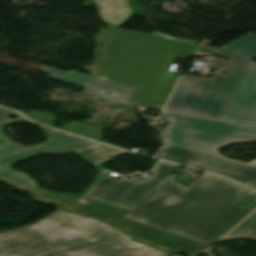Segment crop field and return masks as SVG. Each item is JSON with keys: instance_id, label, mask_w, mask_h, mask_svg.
<instances>
[{"instance_id": "1", "label": "crop field", "mask_w": 256, "mask_h": 256, "mask_svg": "<svg viewBox=\"0 0 256 256\" xmlns=\"http://www.w3.org/2000/svg\"><path fill=\"white\" fill-rule=\"evenodd\" d=\"M168 175L124 217L210 245L256 208V192L204 172L188 187Z\"/></svg>"}, {"instance_id": "2", "label": "crop field", "mask_w": 256, "mask_h": 256, "mask_svg": "<svg viewBox=\"0 0 256 256\" xmlns=\"http://www.w3.org/2000/svg\"><path fill=\"white\" fill-rule=\"evenodd\" d=\"M168 256L83 215L58 210L45 219L0 234V256Z\"/></svg>"}, {"instance_id": "3", "label": "crop field", "mask_w": 256, "mask_h": 256, "mask_svg": "<svg viewBox=\"0 0 256 256\" xmlns=\"http://www.w3.org/2000/svg\"><path fill=\"white\" fill-rule=\"evenodd\" d=\"M197 44L115 29L104 39L99 77L135 88L128 103L163 109L178 80L163 77L171 58L192 56Z\"/></svg>"}, {"instance_id": "4", "label": "crop field", "mask_w": 256, "mask_h": 256, "mask_svg": "<svg viewBox=\"0 0 256 256\" xmlns=\"http://www.w3.org/2000/svg\"><path fill=\"white\" fill-rule=\"evenodd\" d=\"M196 50L212 51L232 63L227 75L181 78L166 109L181 113L221 119L249 61L238 50L197 46Z\"/></svg>"}, {"instance_id": "5", "label": "crop field", "mask_w": 256, "mask_h": 256, "mask_svg": "<svg viewBox=\"0 0 256 256\" xmlns=\"http://www.w3.org/2000/svg\"><path fill=\"white\" fill-rule=\"evenodd\" d=\"M0 179L36 194V198L40 201H54L61 208L79 212L86 216L100 218L101 220L110 223L114 227L134 235L138 241L167 252L182 251L183 253L194 255L209 248L189 239L172 235L132 220L124 219L122 217L125 216L128 211L109 204L93 200L89 204L85 205L45 193L1 176Z\"/></svg>"}, {"instance_id": "6", "label": "crop field", "mask_w": 256, "mask_h": 256, "mask_svg": "<svg viewBox=\"0 0 256 256\" xmlns=\"http://www.w3.org/2000/svg\"><path fill=\"white\" fill-rule=\"evenodd\" d=\"M162 116L169 118L170 123V126H166L162 131L167 136L166 144L186 150L238 162L225 158L218 152V149L237 142H256V128L253 127L198 119L168 112H163ZM246 165L256 167V160Z\"/></svg>"}, {"instance_id": "7", "label": "crop field", "mask_w": 256, "mask_h": 256, "mask_svg": "<svg viewBox=\"0 0 256 256\" xmlns=\"http://www.w3.org/2000/svg\"><path fill=\"white\" fill-rule=\"evenodd\" d=\"M13 114L18 113L8 109L0 108V140L4 141L2 144H0V175L6 178L41 189L37 187L35 180L29 178V175L13 170L10 164L30 158L40 153L62 154L94 143L92 141L81 139L75 136L58 132L50 128L40 126L41 130L49 141L30 148L19 146L11 140L2 138V136H4V131L2 127L21 120H25V118L20 114H18L20 118L14 121L7 119V116ZM100 180L101 178L97 177V180L92 185H90L79 197L69 194L52 193L44 189L41 190L76 201Z\"/></svg>"}, {"instance_id": "8", "label": "crop field", "mask_w": 256, "mask_h": 256, "mask_svg": "<svg viewBox=\"0 0 256 256\" xmlns=\"http://www.w3.org/2000/svg\"><path fill=\"white\" fill-rule=\"evenodd\" d=\"M176 167L161 162L150 171L153 176L146 181H122L107 175L77 202L87 204L95 199L128 210Z\"/></svg>"}, {"instance_id": "9", "label": "crop field", "mask_w": 256, "mask_h": 256, "mask_svg": "<svg viewBox=\"0 0 256 256\" xmlns=\"http://www.w3.org/2000/svg\"><path fill=\"white\" fill-rule=\"evenodd\" d=\"M182 164L201 167L256 189V168L194 152Z\"/></svg>"}, {"instance_id": "10", "label": "crop field", "mask_w": 256, "mask_h": 256, "mask_svg": "<svg viewBox=\"0 0 256 256\" xmlns=\"http://www.w3.org/2000/svg\"><path fill=\"white\" fill-rule=\"evenodd\" d=\"M101 20L120 26L133 16L127 0H94Z\"/></svg>"}, {"instance_id": "11", "label": "crop field", "mask_w": 256, "mask_h": 256, "mask_svg": "<svg viewBox=\"0 0 256 256\" xmlns=\"http://www.w3.org/2000/svg\"><path fill=\"white\" fill-rule=\"evenodd\" d=\"M133 90V88L98 78L85 93L113 102L127 103ZM107 92L111 94L106 95Z\"/></svg>"}, {"instance_id": "12", "label": "crop field", "mask_w": 256, "mask_h": 256, "mask_svg": "<svg viewBox=\"0 0 256 256\" xmlns=\"http://www.w3.org/2000/svg\"><path fill=\"white\" fill-rule=\"evenodd\" d=\"M256 77V64L250 61L222 119L233 121L239 111L254 79Z\"/></svg>"}, {"instance_id": "13", "label": "crop field", "mask_w": 256, "mask_h": 256, "mask_svg": "<svg viewBox=\"0 0 256 256\" xmlns=\"http://www.w3.org/2000/svg\"><path fill=\"white\" fill-rule=\"evenodd\" d=\"M74 152L88 160L94 166L111 160L121 154L127 153L97 143L78 149Z\"/></svg>"}, {"instance_id": "14", "label": "crop field", "mask_w": 256, "mask_h": 256, "mask_svg": "<svg viewBox=\"0 0 256 256\" xmlns=\"http://www.w3.org/2000/svg\"><path fill=\"white\" fill-rule=\"evenodd\" d=\"M48 74H52L50 78H54L57 80H61L64 82H68L71 84L79 85L88 88L95 80L96 78L87 76L85 74L70 70L68 73L59 71L53 68H49L44 66L42 69H40Z\"/></svg>"}, {"instance_id": "15", "label": "crop field", "mask_w": 256, "mask_h": 256, "mask_svg": "<svg viewBox=\"0 0 256 256\" xmlns=\"http://www.w3.org/2000/svg\"><path fill=\"white\" fill-rule=\"evenodd\" d=\"M234 121L256 125V79Z\"/></svg>"}, {"instance_id": "16", "label": "crop field", "mask_w": 256, "mask_h": 256, "mask_svg": "<svg viewBox=\"0 0 256 256\" xmlns=\"http://www.w3.org/2000/svg\"><path fill=\"white\" fill-rule=\"evenodd\" d=\"M62 130H65L80 136H84L96 141L102 138L101 128H98L93 125L85 124V123L76 122V121H72L67 126H65ZM99 142H102V141H99ZM103 143H106V142H103ZM106 144H109V143H106ZM109 145L116 146L113 144H109ZM116 147L122 148L121 146H116Z\"/></svg>"}, {"instance_id": "17", "label": "crop field", "mask_w": 256, "mask_h": 256, "mask_svg": "<svg viewBox=\"0 0 256 256\" xmlns=\"http://www.w3.org/2000/svg\"><path fill=\"white\" fill-rule=\"evenodd\" d=\"M236 237L256 240V212L253 213L249 218H247L243 223H241L222 240L232 239Z\"/></svg>"}, {"instance_id": "18", "label": "crop field", "mask_w": 256, "mask_h": 256, "mask_svg": "<svg viewBox=\"0 0 256 256\" xmlns=\"http://www.w3.org/2000/svg\"><path fill=\"white\" fill-rule=\"evenodd\" d=\"M225 48L239 49L252 58H256V34L249 32L240 39L224 46Z\"/></svg>"}, {"instance_id": "19", "label": "crop field", "mask_w": 256, "mask_h": 256, "mask_svg": "<svg viewBox=\"0 0 256 256\" xmlns=\"http://www.w3.org/2000/svg\"><path fill=\"white\" fill-rule=\"evenodd\" d=\"M193 151H186L176 147L166 145L157 155L158 158L169 160L172 162L180 163L186 157H188Z\"/></svg>"}, {"instance_id": "20", "label": "crop field", "mask_w": 256, "mask_h": 256, "mask_svg": "<svg viewBox=\"0 0 256 256\" xmlns=\"http://www.w3.org/2000/svg\"><path fill=\"white\" fill-rule=\"evenodd\" d=\"M28 118H30L31 120L47 125V126H52V123L55 119L54 115L51 114H47L44 112H40V111H34L31 113H27L25 114Z\"/></svg>"}, {"instance_id": "21", "label": "crop field", "mask_w": 256, "mask_h": 256, "mask_svg": "<svg viewBox=\"0 0 256 256\" xmlns=\"http://www.w3.org/2000/svg\"><path fill=\"white\" fill-rule=\"evenodd\" d=\"M123 107H127V105L113 104L109 108H111V109H119V108H123Z\"/></svg>"}]
</instances>
